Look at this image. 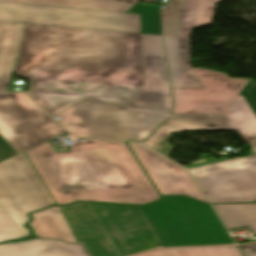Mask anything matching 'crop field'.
Returning <instances> with one entry per match:
<instances>
[{
	"mask_svg": "<svg viewBox=\"0 0 256 256\" xmlns=\"http://www.w3.org/2000/svg\"><path fill=\"white\" fill-rule=\"evenodd\" d=\"M15 72L50 115L87 97L128 107L144 86L141 34L27 24Z\"/></svg>",
	"mask_w": 256,
	"mask_h": 256,
	"instance_id": "1",
	"label": "crop field"
},
{
	"mask_svg": "<svg viewBox=\"0 0 256 256\" xmlns=\"http://www.w3.org/2000/svg\"><path fill=\"white\" fill-rule=\"evenodd\" d=\"M50 145L46 142L25 153L56 205H142L160 199L125 142L87 139L58 154Z\"/></svg>",
	"mask_w": 256,
	"mask_h": 256,
	"instance_id": "2",
	"label": "crop field"
},
{
	"mask_svg": "<svg viewBox=\"0 0 256 256\" xmlns=\"http://www.w3.org/2000/svg\"><path fill=\"white\" fill-rule=\"evenodd\" d=\"M90 206L121 256L153 249L158 244L233 243L210 205L187 197H166L144 207Z\"/></svg>",
	"mask_w": 256,
	"mask_h": 256,
	"instance_id": "3",
	"label": "crop field"
},
{
	"mask_svg": "<svg viewBox=\"0 0 256 256\" xmlns=\"http://www.w3.org/2000/svg\"><path fill=\"white\" fill-rule=\"evenodd\" d=\"M145 86L128 108L87 98L57 115L71 135L142 141L169 114V90L160 36L142 34Z\"/></svg>",
	"mask_w": 256,
	"mask_h": 256,
	"instance_id": "4",
	"label": "crop field"
},
{
	"mask_svg": "<svg viewBox=\"0 0 256 256\" xmlns=\"http://www.w3.org/2000/svg\"><path fill=\"white\" fill-rule=\"evenodd\" d=\"M0 205L25 237L27 213L55 205L25 153L19 154L1 135Z\"/></svg>",
	"mask_w": 256,
	"mask_h": 256,
	"instance_id": "5",
	"label": "crop field"
},
{
	"mask_svg": "<svg viewBox=\"0 0 256 256\" xmlns=\"http://www.w3.org/2000/svg\"><path fill=\"white\" fill-rule=\"evenodd\" d=\"M30 216L38 237L82 243L91 256H120L88 203L49 207Z\"/></svg>",
	"mask_w": 256,
	"mask_h": 256,
	"instance_id": "6",
	"label": "crop field"
},
{
	"mask_svg": "<svg viewBox=\"0 0 256 256\" xmlns=\"http://www.w3.org/2000/svg\"><path fill=\"white\" fill-rule=\"evenodd\" d=\"M0 20L141 33L139 15L0 2Z\"/></svg>",
	"mask_w": 256,
	"mask_h": 256,
	"instance_id": "7",
	"label": "crop field"
},
{
	"mask_svg": "<svg viewBox=\"0 0 256 256\" xmlns=\"http://www.w3.org/2000/svg\"><path fill=\"white\" fill-rule=\"evenodd\" d=\"M0 134L19 152L64 132L24 93L0 95Z\"/></svg>",
	"mask_w": 256,
	"mask_h": 256,
	"instance_id": "8",
	"label": "crop field"
},
{
	"mask_svg": "<svg viewBox=\"0 0 256 256\" xmlns=\"http://www.w3.org/2000/svg\"><path fill=\"white\" fill-rule=\"evenodd\" d=\"M252 155L189 170L211 203L256 202V141Z\"/></svg>",
	"mask_w": 256,
	"mask_h": 256,
	"instance_id": "9",
	"label": "crop field"
},
{
	"mask_svg": "<svg viewBox=\"0 0 256 256\" xmlns=\"http://www.w3.org/2000/svg\"><path fill=\"white\" fill-rule=\"evenodd\" d=\"M203 88H172V115L223 114L246 86L245 78H229L226 73L193 68Z\"/></svg>",
	"mask_w": 256,
	"mask_h": 256,
	"instance_id": "10",
	"label": "crop field"
},
{
	"mask_svg": "<svg viewBox=\"0 0 256 256\" xmlns=\"http://www.w3.org/2000/svg\"><path fill=\"white\" fill-rule=\"evenodd\" d=\"M245 101L239 94L224 115L171 116L144 143L169 157L173 147L166 144V136L174 131L227 129L238 131L250 144L256 140V117Z\"/></svg>",
	"mask_w": 256,
	"mask_h": 256,
	"instance_id": "11",
	"label": "crop field"
},
{
	"mask_svg": "<svg viewBox=\"0 0 256 256\" xmlns=\"http://www.w3.org/2000/svg\"><path fill=\"white\" fill-rule=\"evenodd\" d=\"M146 173L162 195H186L207 203L188 173L143 144L128 142Z\"/></svg>",
	"mask_w": 256,
	"mask_h": 256,
	"instance_id": "12",
	"label": "crop field"
},
{
	"mask_svg": "<svg viewBox=\"0 0 256 256\" xmlns=\"http://www.w3.org/2000/svg\"><path fill=\"white\" fill-rule=\"evenodd\" d=\"M172 87H201L189 65V39L162 36Z\"/></svg>",
	"mask_w": 256,
	"mask_h": 256,
	"instance_id": "13",
	"label": "crop field"
},
{
	"mask_svg": "<svg viewBox=\"0 0 256 256\" xmlns=\"http://www.w3.org/2000/svg\"><path fill=\"white\" fill-rule=\"evenodd\" d=\"M0 256H89L81 245L59 240L32 241L0 245Z\"/></svg>",
	"mask_w": 256,
	"mask_h": 256,
	"instance_id": "14",
	"label": "crop field"
},
{
	"mask_svg": "<svg viewBox=\"0 0 256 256\" xmlns=\"http://www.w3.org/2000/svg\"><path fill=\"white\" fill-rule=\"evenodd\" d=\"M198 0H169L161 9L162 35L190 37Z\"/></svg>",
	"mask_w": 256,
	"mask_h": 256,
	"instance_id": "15",
	"label": "crop field"
},
{
	"mask_svg": "<svg viewBox=\"0 0 256 256\" xmlns=\"http://www.w3.org/2000/svg\"><path fill=\"white\" fill-rule=\"evenodd\" d=\"M23 26L0 21V93L8 91Z\"/></svg>",
	"mask_w": 256,
	"mask_h": 256,
	"instance_id": "16",
	"label": "crop field"
},
{
	"mask_svg": "<svg viewBox=\"0 0 256 256\" xmlns=\"http://www.w3.org/2000/svg\"><path fill=\"white\" fill-rule=\"evenodd\" d=\"M0 1L126 13L139 0H0Z\"/></svg>",
	"mask_w": 256,
	"mask_h": 256,
	"instance_id": "17",
	"label": "crop field"
},
{
	"mask_svg": "<svg viewBox=\"0 0 256 256\" xmlns=\"http://www.w3.org/2000/svg\"><path fill=\"white\" fill-rule=\"evenodd\" d=\"M214 207L227 229L248 225L256 235V204L214 205Z\"/></svg>",
	"mask_w": 256,
	"mask_h": 256,
	"instance_id": "18",
	"label": "crop field"
},
{
	"mask_svg": "<svg viewBox=\"0 0 256 256\" xmlns=\"http://www.w3.org/2000/svg\"><path fill=\"white\" fill-rule=\"evenodd\" d=\"M136 256H242L236 246L166 249Z\"/></svg>",
	"mask_w": 256,
	"mask_h": 256,
	"instance_id": "19",
	"label": "crop field"
},
{
	"mask_svg": "<svg viewBox=\"0 0 256 256\" xmlns=\"http://www.w3.org/2000/svg\"><path fill=\"white\" fill-rule=\"evenodd\" d=\"M127 13L140 14L142 33L160 35L158 5L137 3Z\"/></svg>",
	"mask_w": 256,
	"mask_h": 256,
	"instance_id": "20",
	"label": "crop field"
},
{
	"mask_svg": "<svg viewBox=\"0 0 256 256\" xmlns=\"http://www.w3.org/2000/svg\"><path fill=\"white\" fill-rule=\"evenodd\" d=\"M220 1L222 0H199L192 30L211 23L215 4Z\"/></svg>",
	"mask_w": 256,
	"mask_h": 256,
	"instance_id": "21",
	"label": "crop field"
},
{
	"mask_svg": "<svg viewBox=\"0 0 256 256\" xmlns=\"http://www.w3.org/2000/svg\"><path fill=\"white\" fill-rule=\"evenodd\" d=\"M24 237L7 214L0 207V241Z\"/></svg>",
	"mask_w": 256,
	"mask_h": 256,
	"instance_id": "22",
	"label": "crop field"
},
{
	"mask_svg": "<svg viewBox=\"0 0 256 256\" xmlns=\"http://www.w3.org/2000/svg\"><path fill=\"white\" fill-rule=\"evenodd\" d=\"M241 93L254 114L256 115V81L250 80V82Z\"/></svg>",
	"mask_w": 256,
	"mask_h": 256,
	"instance_id": "23",
	"label": "crop field"
},
{
	"mask_svg": "<svg viewBox=\"0 0 256 256\" xmlns=\"http://www.w3.org/2000/svg\"><path fill=\"white\" fill-rule=\"evenodd\" d=\"M245 256H256V243L239 245Z\"/></svg>",
	"mask_w": 256,
	"mask_h": 256,
	"instance_id": "24",
	"label": "crop field"
},
{
	"mask_svg": "<svg viewBox=\"0 0 256 256\" xmlns=\"http://www.w3.org/2000/svg\"><path fill=\"white\" fill-rule=\"evenodd\" d=\"M142 1H144V2H152V0H142Z\"/></svg>",
	"mask_w": 256,
	"mask_h": 256,
	"instance_id": "25",
	"label": "crop field"
}]
</instances>
